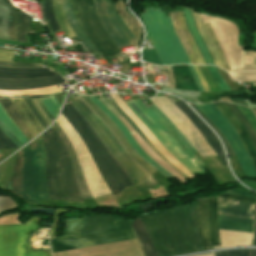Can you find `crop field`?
I'll use <instances>...</instances> for the list:
<instances>
[{
  "instance_id": "1",
  "label": "crop field",
  "mask_w": 256,
  "mask_h": 256,
  "mask_svg": "<svg viewBox=\"0 0 256 256\" xmlns=\"http://www.w3.org/2000/svg\"><path fill=\"white\" fill-rule=\"evenodd\" d=\"M158 256L205 250L197 230L196 203L140 216Z\"/></svg>"
},
{
  "instance_id": "2",
  "label": "crop field",
  "mask_w": 256,
  "mask_h": 256,
  "mask_svg": "<svg viewBox=\"0 0 256 256\" xmlns=\"http://www.w3.org/2000/svg\"><path fill=\"white\" fill-rule=\"evenodd\" d=\"M127 220L108 215L66 220L64 236L50 239L53 252L134 239Z\"/></svg>"
},
{
  "instance_id": "3",
  "label": "crop field",
  "mask_w": 256,
  "mask_h": 256,
  "mask_svg": "<svg viewBox=\"0 0 256 256\" xmlns=\"http://www.w3.org/2000/svg\"><path fill=\"white\" fill-rule=\"evenodd\" d=\"M61 113L82 138L112 194L119 193V191L127 186L135 185L128 173L116 161L95 131L70 103L64 106Z\"/></svg>"
},
{
  "instance_id": "4",
  "label": "crop field",
  "mask_w": 256,
  "mask_h": 256,
  "mask_svg": "<svg viewBox=\"0 0 256 256\" xmlns=\"http://www.w3.org/2000/svg\"><path fill=\"white\" fill-rule=\"evenodd\" d=\"M42 136L47 159L46 183L49 198L82 200L70 156L60 135L52 126Z\"/></svg>"
},
{
  "instance_id": "5",
  "label": "crop field",
  "mask_w": 256,
  "mask_h": 256,
  "mask_svg": "<svg viewBox=\"0 0 256 256\" xmlns=\"http://www.w3.org/2000/svg\"><path fill=\"white\" fill-rule=\"evenodd\" d=\"M140 16L147 28L148 39L163 65L191 64L169 17H165L163 12L147 9Z\"/></svg>"
},
{
  "instance_id": "6",
  "label": "crop field",
  "mask_w": 256,
  "mask_h": 256,
  "mask_svg": "<svg viewBox=\"0 0 256 256\" xmlns=\"http://www.w3.org/2000/svg\"><path fill=\"white\" fill-rule=\"evenodd\" d=\"M126 104L137 115V117L146 125V127L153 133V135L159 140L160 143L163 141H166V139L168 140L166 142H163V144L168 148V150L172 154L181 152V149H182L183 152L174 154V155H172L167 149L166 150L175 159L181 162L190 172L199 173V174H204L206 172L201 167H199L191 157V156H194L193 152L186 146V144L174 132V130L170 127V125L156 111L152 109V107H149V108L145 107L139 99L126 102ZM159 119L173 132V134L176 136V138L180 141V143L183 145V147L187 150V152L190 155L183 150V148L180 146V144L177 142V140L174 138L171 132ZM158 130L170 133L181 149L175 143V141L170 136V134L161 132L166 138L165 139Z\"/></svg>"
},
{
  "instance_id": "7",
  "label": "crop field",
  "mask_w": 256,
  "mask_h": 256,
  "mask_svg": "<svg viewBox=\"0 0 256 256\" xmlns=\"http://www.w3.org/2000/svg\"><path fill=\"white\" fill-rule=\"evenodd\" d=\"M39 148L32 151L29 145L23 148L24 172L22 190L24 191V201L38 205V200H47L44 183L45 157L42 147V138L35 139ZM38 154L41 158L38 159Z\"/></svg>"
},
{
  "instance_id": "8",
  "label": "crop field",
  "mask_w": 256,
  "mask_h": 256,
  "mask_svg": "<svg viewBox=\"0 0 256 256\" xmlns=\"http://www.w3.org/2000/svg\"><path fill=\"white\" fill-rule=\"evenodd\" d=\"M196 106L215 125V127L228 141L232 150L236 154L245 175L249 177H256V169L253 161L231 123L213 104Z\"/></svg>"
},
{
  "instance_id": "9",
  "label": "crop field",
  "mask_w": 256,
  "mask_h": 256,
  "mask_svg": "<svg viewBox=\"0 0 256 256\" xmlns=\"http://www.w3.org/2000/svg\"><path fill=\"white\" fill-rule=\"evenodd\" d=\"M39 217H32L25 226H0V256H26L24 235L26 237L27 256H51L49 251H30L28 235L37 229Z\"/></svg>"
},
{
  "instance_id": "10",
  "label": "crop field",
  "mask_w": 256,
  "mask_h": 256,
  "mask_svg": "<svg viewBox=\"0 0 256 256\" xmlns=\"http://www.w3.org/2000/svg\"><path fill=\"white\" fill-rule=\"evenodd\" d=\"M74 14L81 27L100 53L111 51L120 54L112 40L101 27L91 0H72Z\"/></svg>"
},
{
  "instance_id": "11",
  "label": "crop field",
  "mask_w": 256,
  "mask_h": 256,
  "mask_svg": "<svg viewBox=\"0 0 256 256\" xmlns=\"http://www.w3.org/2000/svg\"><path fill=\"white\" fill-rule=\"evenodd\" d=\"M94 7L103 28L118 48L138 45L119 19L111 0H94Z\"/></svg>"
},
{
  "instance_id": "12",
  "label": "crop field",
  "mask_w": 256,
  "mask_h": 256,
  "mask_svg": "<svg viewBox=\"0 0 256 256\" xmlns=\"http://www.w3.org/2000/svg\"><path fill=\"white\" fill-rule=\"evenodd\" d=\"M67 98L72 103V105L77 109V111L87 120V122L93 127L111 153L115 156V158L120 162V164L126 169V171L130 174L132 179L135 181L139 189H146L141 175L133 169L123 158V156L119 153V151L114 147V145L110 142V140L106 137V135L101 131V129L97 126V124L86 114V112L77 104V102L72 98L70 94H68Z\"/></svg>"
},
{
  "instance_id": "13",
  "label": "crop field",
  "mask_w": 256,
  "mask_h": 256,
  "mask_svg": "<svg viewBox=\"0 0 256 256\" xmlns=\"http://www.w3.org/2000/svg\"><path fill=\"white\" fill-rule=\"evenodd\" d=\"M80 106L87 112V114L98 124V126L102 129V131L107 135V137L111 140V142L115 145V147L120 151V153L124 156V158L128 161V163L134 167L143 177L145 180L146 185L148 188H152L157 183L142 167H140L123 149L115 135L111 132V130L104 124V122L90 109L88 108L82 99L78 96L75 99Z\"/></svg>"
},
{
  "instance_id": "14",
  "label": "crop field",
  "mask_w": 256,
  "mask_h": 256,
  "mask_svg": "<svg viewBox=\"0 0 256 256\" xmlns=\"http://www.w3.org/2000/svg\"><path fill=\"white\" fill-rule=\"evenodd\" d=\"M191 12L193 14L197 29L214 63L226 70H230L224 58V55L217 43V39L212 31L211 25L203 24L200 15L194 13L192 10Z\"/></svg>"
},
{
  "instance_id": "15",
  "label": "crop field",
  "mask_w": 256,
  "mask_h": 256,
  "mask_svg": "<svg viewBox=\"0 0 256 256\" xmlns=\"http://www.w3.org/2000/svg\"><path fill=\"white\" fill-rule=\"evenodd\" d=\"M170 17L175 28L176 34L180 41L182 42L191 63L205 64L199 50L197 49L195 43L193 42L187 30L183 12L170 13Z\"/></svg>"
},
{
  "instance_id": "16",
  "label": "crop field",
  "mask_w": 256,
  "mask_h": 256,
  "mask_svg": "<svg viewBox=\"0 0 256 256\" xmlns=\"http://www.w3.org/2000/svg\"><path fill=\"white\" fill-rule=\"evenodd\" d=\"M176 106H178L184 114L189 118V120L194 124V126L198 129L200 134L203 136V138L206 140V142L210 145V147L215 151V153L220 157L223 165H227L221 145L219 141L215 138V136L212 134V132L204 125V123L181 101L175 103Z\"/></svg>"
},
{
  "instance_id": "17",
  "label": "crop field",
  "mask_w": 256,
  "mask_h": 256,
  "mask_svg": "<svg viewBox=\"0 0 256 256\" xmlns=\"http://www.w3.org/2000/svg\"><path fill=\"white\" fill-rule=\"evenodd\" d=\"M64 79L60 76H53L43 79H32V80H14V79H0L1 90H21L45 87L55 84L64 83Z\"/></svg>"
},
{
  "instance_id": "18",
  "label": "crop field",
  "mask_w": 256,
  "mask_h": 256,
  "mask_svg": "<svg viewBox=\"0 0 256 256\" xmlns=\"http://www.w3.org/2000/svg\"><path fill=\"white\" fill-rule=\"evenodd\" d=\"M113 122L114 124L121 130V132L124 134V136L127 138L133 149L136 151V153L142 157L148 164L156 168L160 171L161 174H163L167 179L173 178L172 175H170L165 169H163L160 165H158L156 162H154L145 152H143L140 147L137 145V143L134 141V139L131 137V135L128 133L126 128L123 126V124L113 115L111 114L101 103L100 101L95 97L91 96L89 97ZM158 171V172H159Z\"/></svg>"
},
{
  "instance_id": "19",
  "label": "crop field",
  "mask_w": 256,
  "mask_h": 256,
  "mask_svg": "<svg viewBox=\"0 0 256 256\" xmlns=\"http://www.w3.org/2000/svg\"><path fill=\"white\" fill-rule=\"evenodd\" d=\"M218 215L254 219L255 205L217 198Z\"/></svg>"
},
{
  "instance_id": "20",
  "label": "crop field",
  "mask_w": 256,
  "mask_h": 256,
  "mask_svg": "<svg viewBox=\"0 0 256 256\" xmlns=\"http://www.w3.org/2000/svg\"><path fill=\"white\" fill-rule=\"evenodd\" d=\"M93 110L94 112L111 128V130L115 133L117 138L120 140L124 148L127 152L145 169L147 170L152 176L156 172L151 166H149L144 160H142L132 149L129 145L127 140L124 136L120 133L118 128L113 124V122L88 98V97H81Z\"/></svg>"
},
{
  "instance_id": "21",
  "label": "crop field",
  "mask_w": 256,
  "mask_h": 256,
  "mask_svg": "<svg viewBox=\"0 0 256 256\" xmlns=\"http://www.w3.org/2000/svg\"><path fill=\"white\" fill-rule=\"evenodd\" d=\"M16 12L6 0H0V39L16 41L15 17Z\"/></svg>"
},
{
  "instance_id": "22",
  "label": "crop field",
  "mask_w": 256,
  "mask_h": 256,
  "mask_svg": "<svg viewBox=\"0 0 256 256\" xmlns=\"http://www.w3.org/2000/svg\"><path fill=\"white\" fill-rule=\"evenodd\" d=\"M55 71L50 68L46 69H18L0 67V78H14V79H31L43 78L57 75Z\"/></svg>"
},
{
  "instance_id": "23",
  "label": "crop field",
  "mask_w": 256,
  "mask_h": 256,
  "mask_svg": "<svg viewBox=\"0 0 256 256\" xmlns=\"http://www.w3.org/2000/svg\"><path fill=\"white\" fill-rule=\"evenodd\" d=\"M55 129L58 131V133L61 135L66 147H67V150L71 156V160H72V164H73V168H74V172L76 174V177H77V181H78V184H79V188H80V191H81V194H82V197L83 199H90L92 198L91 197V194H90V191H89V188L83 178V175H82V172H81V169H80V166H79V163H78V160L75 156V153H74V150H73V147L69 141V139L66 137V135L63 133V131L60 129V127L57 125V123L55 122L54 125Z\"/></svg>"
},
{
  "instance_id": "24",
  "label": "crop field",
  "mask_w": 256,
  "mask_h": 256,
  "mask_svg": "<svg viewBox=\"0 0 256 256\" xmlns=\"http://www.w3.org/2000/svg\"><path fill=\"white\" fill-rule=\"evenodd\" d=\"M11 101L33 137L40 133L43 129L31 113L24 100L22 98H16L11 99Z\"/></svg>"
},
{
  "instance_id": "25",
  "label": "crop field",
  "mask_w": 256,
  "mask_h": 256,
  "mask_svg": "<svg viewBox=\"0 0 256 256\" xmlns=\"http://www.w3.org/2000/svg\"><path fill=\"white\" fill-rule=\"evenodd\" d=\"M62 10L67 19L69 26L76 34L78 40L83 44L84 48L98 52L96 48L93 46V44L90 42V40L87 38V36L84 34V32L81 30V28L79 27L74 17L73 11L71 9L70 0H62Z\"/></svg>"
},
{
  "instance_id": "26",
  "label": "crop field",
  "mask_w": 256,
  "mask_h": 256,
  "mask_svg": "<svg viewBox=\"0 0 256 256\" xmlns=\"http://www.w3.org/2000/svg\"><path fill=\"white\" fill-rule=\"evenodd\" d=\"M171 68L177 89L199 91L188 66H171Z\"/></svg>"
},
{
  "instance_id": "27",
  "label": "crop field",
  "mask_w": 256,
  "mask_h": 256,
  "mask_svg": "<svg viewBox=\"0 0 256 256\" xmlns=\"http://www.w3.org/2000/svg\"><path fill=\"white\" fill-rule=\"evenodd\" d=\"M214 105L224 113V115L230 120L235 129L238 131L256 165V153L246 131L243 129L231 111L222 102L215 103Z\"/></svg>"
},
{
  "instance_id": "28",
  "label": "crop field",
  "mask_w": 256,
  "mask_h": 256,
  "mask_svg": "<svg viewBox=\"0 0 256 256\" xmlns=\"http://www.w3.org/2000/svg\"><path fill=\"white\" fill-rule=\"evenodd\" d=\"M198 201V228L206 249L210 247L208 232V210L207 199H197Z\"/></svg>"
},
{
  "instance_id": "29",
  "label": "crop field",
  "mask_w": 256,
  "mask_h": 256,
  "mask_svg": "<svg viewBox=\"0 0 256 256\" xmlns=\"http://www.w3.org/2000/svg\"><path fill=\"white\" fill-rule=\"evenodd\" d=\"M254 220L218 216L219 229L252 232Z\"/></svg>"
},
{
  "instance_id": "30",
  "label": "crop field",
  "mask_w": 256,
  "mask_h": 256,
  "mask_svg": "<svg viewBox=\"0 0 256 256\" xmlns=\"http://www.w3.org/2000/svg\"><path fill=\"white\" fill-rule=\"evenodd\" d=\"M22 168H23V155L22 151L16 153V164L13 171L12 178L7 187V191L23 198L21 192V181H22Z\"/></svg>"
},
{
  "instance_id": "31",
  "label": "crop field",
  "mask_w": 256,
  "mask_h": 256,
  "mask_svg": "<svg viewBox=\"0 0 256 256\" xmlns=\"http://www.w3.org/2000/svg\"><path fill=\"white\" fill-rule=\"evenodd\" d=\"M183 8H184V14H185L188 29H189L197 47H198V49L200 50V52L202 54V56L205 60V63L214 65L213 61L211 60L203 42H202V39H201V37H200L196 27H195L193 17H192V14H191L190 10L188 8L184 7V6H183Z\"/></svg>"
},
{
  "instance_id": "32",
  "label": "crop field",
  "mask_w": 256,
  "mask_h": 256,
  "mask_svg": "<svg viewBox=\"0 0 256 256\" xmlns=\"http://www.w3.org/2000/svg\"><path fill=\"white\" fill-rule=\"evenodd\" d=\"M208 210H209V227H210V238L211 245L217 246L220 245L219 241V232L217 225V209H216V199H208Z\"/></svg>"
},
{
  "instance_id": "33",
  "label": "crop field",
  "mask_w": 256,
  "mask_h": 256,
  "mask_svg": "<svg viewBox=\"0 0 256 256\" xmlns=\"http://www.w3.org/2000/svg\"><path fill=\"white\" fill-rule=\"evenodd\" d=\"M133 228L135 230V233L138 237V240L140 242V245L145 256H157L139 218L135 219V221L133 222Z\"/></svg>"
},
{
  "instance_id": "34",
  "label": "crop field",
  "mask_w": 256,
  "mask_h": 256,
  "mask_svg": "<svg viewBox=\"0 0 256 256\" xmlns=\"http://www.w3.org/2000/svg\"><path fill=\"white\" fill-rule=\"evenodd\" d=\"M115 6L120 18L125 22V24L128 26V28L133 33L135 38L139 41L140 31L135 22L136 19L126 10V8L124 7L125 3L121 0L118 3H116Z\"/></svg>"
},
{
  "instance_id": "35",
  "label": "crop field",
  "mask_w": 256,
  "mask_h": 256,
  "mask_svg": "<svg viewBox=\"0 0 256 256\" xmlns=\"http://www.w3.org/2000/svg\"><path fill=\"white\" fill-rule=\"evenodd\" d=\"M34 33L29 16L18 11L16 18V37L17 41L25 42L24 34Z\"/></svg>"
},
{
  "instance_id": "36",
  "label": "crop field",
  "mask_w": 256,
  "mask_h": 256,
  "mask_svg": "<svg viewBox=\"0 0 256 256\" xmlns=\"http://www.w3.org/2000/svg\"><path fill=\"white\" fill-rule=\"evenodd\" d=\"M0 104L8 113V115L12 118V120L17 124V126L21 129L24 133L27 140L33 138L31 134L26 129L25 125L23 124L22 120L20 119L18 113L16 112L15 108L13 107L11 101L9 99H0Z\"/></svg>"
},
{
  "instance_id": "37",
  "label": "crop field",
  "mask_w": 256,
  "mask_h": 256,
  "mask_svg": "<svg viewBox=\"0 0 256 256\" xmlns=\"http://www.w3.org/2000/svg\"><path fill=\"white\" fill-rule=\"evenodd\" d=\"M53 13L55 15V18L63 30V33L66 35L67 38L74 37L73 32L69 28L63 14L61 11V0H53Z\"/></svg>"
},
{
  "instance_id": "38",
  "label": "crop field",
  "mask_w": 256,
  "mask_h": 256,
  "mask_svg": "<svg viewBox=\"0 0 256 256\" xmlns=\"http://www.w3.org/2000/svg\"><path fill=\"white\" fill-rule=\"evenodd\" d=\"M0 120L4 123V125L13 133V135L22 143H26V139L20 129L16 126V124L11 120V118L7 115V113L0 106Z\"/></svg>"
},
{
  "instance_id": "39",
  "label": "crop field",
  "mask_w": 256,
  "mask_h": 256,
  "mask_svg": "<svg viewBox=\"0 0 256 256\" xmlns=\"http://www.w3.org/2000/svg\"><path fill=\"white\" fill-rule=\"evenodd\" d=\"M232 112L233 114L237 117V119L239 120V122L242 124V126L245 128V130L248 132L250 139L256 149V135L253 131V129L251 128L249 122L246 120V118L240 113V111L236 108L235 105L233 104H228V103H224Z\"/></svg>"
},
{
  "instance_id": "40",
  "label": "crop field",
  "mask_w": 256,
  "mask_h": 256,
  "mask_svg": "<svg viewBox=\"0 0 256 256\" xmlns=\"http://www.w3.org/2000/svg\"><path fill=\"white\" fill-rule=\"evenodd\" d=\"M43 19L48 20L54 33L61 31L52 13V0H44Z\"/></svg>"
},
{
  "instance_id": "41",
  "label": "crop field",
  "mask_w": 256,
  "mask_h": 256,
  "mask_svg": "<svg viewBox=\"0 0 256 256\" xmlns=\"http://www.w3.org/2000/svg\"><path fill=\"white\" fill-rule=\"evenodd\" d=\"M117 110L127 119V121L137 130V132L140 134V136L144 139V141L147 143V145L159 156L161 157L168 165H170L172 168H174L177 172H179L185 179H188L185 177L180 171H178L170 162H168L148 141L147 139L142 135V133L138 130V128L135 126V124L122 112V110L118 107V105L114 102V100L110 101ZM135 130V131H136Z\"/></svg>"
},
{
  "instance_id": "42",
  "label": "crop field",
  "mask_w": 256,
  "mask_h": 256,
  "mask_svg": "<svg viewBox=\"0 0 256 256\" xmlns=\"http://www.w3.org/2000/svg\"><path fill=\"white\" fill-rule=\"evenodd\" d=\"M203 77L205 78L208 86H209V90L210 92L212 91H220L219 88H218V85L214 82V80L211 78L209 72H208V69L206 66H198Z\"/></svg>"
},
{
  "instance_id": "43",
  "label": "crop field",
  "mask_w": 256,
  "mask_h": 256,
  "mask_svg": "<svg viewBox=\"0 0 256 256\" xmlns=\"http://www.w3.org/2000/svg\"><path fill=\"white\" fill-rule=\"evenodd\" d=\"M212 78L219 85L222 91L230 90L227 84L224 82L218 71L213 66H207Z\"/></svg>"
},
{
  "instance_id": "44",
  "label": "crop field",
  "mask_w": 256,
  "mask_h": 256,
  "mask_svg": "<svg viewBox=\"0 0 256 256\" xmlns=\"http://www.w3.org/2000/svg\"><path fill=\"white\" fill-rule=\"evenodd\" d=\"M236 106L242 112V114L249 120L251 126L253 127V129H254V131L256 133V117L252 113L251 109L246 108L244 106H240V105H236Z\"/></svg>"
},
{
  "instance_id": "45",
  "label": "crop field",
  "mask_w": 256,
  "mask_h": 256,
  "mask_svg": "<svg viewBox=\"0 0 256 256\" xmlns=\"http://www.w3.org/2000/svg\"><path fill=\"white\" fill-rule=\"evenodd\" d=\"M145 50H143V59L145 61L157 64V65H162L156 52L154 51V49L147 51L146 48H144Z\"/></svg>"
},
{
  "instance_id": "46",
  "label": "crop field",
  "mask_w": 256,
  "mask_h": 256,
  "mask_svg": "<svg viewBox=\"0 0 256 256\" xmlns=\"http://www.w3.org/2000/svg\"><path fill=\"white\" fill-rule=\"evenodd\" d=\"M0 148L15 149L17 146L0 130Z\"/></svg>"
},
{
  "instance_id": "47",
  "label": "crop field",
  "mask_w": 256,
  "mask_h": 256,
  "mask_svg": "<svg viewBox=\"0 0 256 256\" xmlns=\"http://www.w3.org/2000/svg\"><path fill=\"white\" fill-rule=\"evenodd\" d=\"M16 203L13 202L10 197H0V213L4 210L15 208Z\"/></svg>"
},
{
  "instance_id": "48",
  "label": "crop field",
  "mask_w": 256,
  "mask_h": 256,
  "mask_svg": "<svg viewBox=\"0 0 256 256\" xmlns=\"http://www.w3.org/2000/svg\"><path fill=\"white\" fill-rule=\"evenodd\" d=\"M191 105H192V106L195 108V110L207 121V123L215 130V132L222 138V140H223V142H224V144H225V146H226V148H227L228 155H229V156L234 155V153H233V151L231 150L229 144H228L227 141L222 137L221 133L213 126V124H212L201 112H199V111L196 109V107L194 106V104H191Z\"/></svg>"
},
{
  "instance_id": "49",
  "label": "crop field",
  "mask_w": 256,
  "mask_h": 256,
  "mask_svg": "<svg viewBox=\"0 0 256 256\" xmlns=\"http://www.w3.org/2000/svg\"><path fill=\"white\" fill-rule=\"evenodd\" d=\"M40 99L44 103V105L47 107V109L49 110L51 115L55 118L59 110L54 105V103L51 101V99L49 97H47V98H40Z\"/></svg>"
},
{
  "instance_id": "50",
  "label": "crop field",
  "mask_w": 256,
  "mask_h": 256,
  "mask_svg": "<svg viewBox=\"0 0 256 256\" xmlns=\"http://www.w3.org/2000/svg\"><path fill=\"white\" fill-rule=\"evenodd\" d=\"M218 197L255 204V199L248 198V197H243V196H237V195H231V194H223V195L218 196Z\"/></svg>"
},
{
  "instance_id": "51",
  "label": "crop field",
  "mask_w": 256,
  "mask_h": 256,
  "mask_svg": "<svg viewBox=\"0 0 256 256\" xmlns=\"http://www.w3.org/2000/svg\"><path fill=\"white\" fill-rule=\"evenodd\" d=\"M249 250H235L228 252L215 253L216 256H249Z\"/></svg>"
},
{
  "instance_id": "52",
  "label": "crop field",
  "mask_w": 256,
  "mask_h": 256,
  "mask_svg": "<svg viewBox=\"0 0 256 256\" xmlns=\"http://www.w3.org/2000/svg\"><path fill=\"white\" fill-rule=\"evenodd\" d=\"M0 66L40 68V67H41V64H32V63H10V62H2V61H0Z\"/></svg>"
},
{
  "instance_id": "53",
  "label": "crop field",
  "mask_w": 256,
  "mask_h": 256,
  "mask_svg": "<svg viewBox=\"0 0 256 256\" xmlns=\"http://www.w3.org/2000/svg\"><path fill=\"white\" fill-rule=\"evenodd\" d=\"M161 116H163L166 121L171 125V127L181 136V138L185 141V143L188 145V147L195 153L197 152L193 146L184 138V136L179 132V130L174 126V124L167 118L165 117L159 110L158 108L154 105L152 106Z\"/></svg>"
},
{
  "instance_id": "54",
  "label": "crop field",
  "mask_w": 256,
  "mask_h": 256,
  "mask_svg": "<svg viewBox=\"0 0 256 256\" xmlns=\"http://www.w3.org/2000/svg\"><path fill=\"white\" fill-rule=\"evenodd\" d=\"M0 128L3 130V132L20 148L22 145L20 142L12 135V133L3 125V123L0 121Z\"/></svg>"
},
{
  "instance_id": "55",
  "label": "crop field",
  "mask_w": 256,
  "mask_h": 256,
  "mask_svg": "<svg viewBox=\"0 0 256 256\" xmlns=\"http://www.w3.org/2000/svg\"><path fill=\"white\" fill-rule=\"evenodd\" d=\"M27 105L29 106V108L31 109V111L33 112L34 116L36 117V119L39 121V123L43 126V128L45 129L47 126L46 124L43 122V120L41 119V117L39 116V114L36 112V110L34 109L33 105L31 104V102L29 101V99H25Z\"/></svg>"
},
{
  "instance_id": "56",
  "label": "crop field",
  "mask_w": 256,
  "mask_h": 256,
  "mask_svg": "<svg viewBox=\"0 0 256 256\" xmlns=\"http://www.w3.org/2000/svg\"><path fill=\"white\" fill-rule=\"evenodd\" d=\"M13 51L0 49V60L2 61H11Z\"/></svg>"
},
{
  "instance_id": "57",
  "label": "crop field",
  "mask_w": 256,
  "mask_h": 256,
  "mask_svg": "<svg viewBox=\"0 0 256 256\" xmlns=\"http://www.w3.org/2000/svg\"><path fill=\"white\" fill-rule=\"evenodd\" d=\"M31 102L33 103V105L36 107V109L38 110V112L40 113V115L42 116L43 120L45 121V123L47 124V126L51 123L50 120L47 118V116L45 115V113L42 111V109L39 107V105L37 104V102L34 100V98H30Z\"/></svg>"
},
{
  "instance_id": "58",
  "label": "crop field",
  "mask_w": 256,
  "mask_h": 256,
  "mask_svg": "<svg viewBox=\"0 0 256 256\" xmlns=\"http://www.w3.org/2000/svg\"><path fill=\"white\" fill-rule=\"evenodd\" d=\"M193 67H194V69H195V71H196V73H197V75H198V77H199V80H200V82H201V84H202L204 90L207 91V92H209L208 89H207V84H206L204 78L202 77V75H201V73H200L198 67H197V66H193Z\"/></svg>"
},
{
  "instance_id": "59",
  "label": "crop field",
  "mask_w": 256,
  "mask_h": 256,
  "mask_svg": "<svg viewBox=\"0 0 256 256\" xmlns=\"http://www.w3.org/2000/svg\"><path fill=\"white\" fill-rule=\"evenodd\" d=\"M227 192L228 193H234V194H237V195H243V196H248V197L256 198V196L254 194H250V193H247V192L236 191V190H229Z\"/></svg>"
},
{
  "instance_id": "60",
  "label": "crop field",
  "mask_w": 256,
  "mask_h": 256,
  "mask_svg": "<svg viewBox=\"0 0 256 256\" xmlns=\"http://www.w3.org/2000/svg\"><path fill=\"white\" fill-rule=\"evenodd\" d=\"M35 100L38 102V104L40 105V107L43 109V111L46 113V115L48 116V118L51 120V122L54 120L51 115L48 113V111L46 110L45 106L42 104V102L39 100V98H35Z\"/></svg>"
},
{
  "instance_id": "61",
  "label": "crop field",
  "mask_w": 256,
  "mask_h": 256,
  "mask_svg": "<svg viewBox=\"0 0 256 256\" xmlns=\"http://www.w3.org/2000/svg\"><path fill=\"white\" fill-rule=\"evenodd\" d=\"M190 68H191V70H192V72H193V75H194V77H195V79H196V82H197V84H198V86H199L200 91H203V89H202V87H201V84H200V82H199V80H198V77H197V75H196L194 69L192 68V66H190Z\"/></svg>"
},
{
  "instance_id": "62",
  "label": "crop field",
  "mask_w": 256,
  "mask_h": 256,
  "mask_svg": "<svg viewBox=\"0 0 256 256\" xmlns=\"http://www.w3.org/2000/svg\"><path fill=\"white\" fill-rule=\"evenodd\" d=\"M29 145L31 147V150H34V149L38 148L35 141H32L31 143H29Z\"/></svg>"
},
{
  "instance_id": "63",
  "label": "crop field",
  "mask_w": 256,
  "mask_h": 256,
  "mask_svg": "<svg viewBox=\"0 0 256 256\" xmlns=\"http://www.w3.org/2000/svg\"><path fill=\"white\" fill-rule=\"evenodd\" d=\"M231 101H232V102H237V103H241V104L246 105L245 102H244V100H233V99H231Z\"/></svg>"
},
{
  "instance_id": "64",
  "label": "crop field",
  "mask_w": 256,
  "mask_h": 256,
  "mask_svg": "<svg viewBox=\"0 0 256 256\" xmlns=\"http://www.w3.org/2000/svg\"><path fill=\"white\" fill-rule=\"evenodd\" d=\"M51 99H52L53 102L56 104V106L59 108L60 105H59V103L57 102V100L54 98V96H51Z\"/></svg>"
},
{
  "instance_id": "65",
  "label": "crop field",
  "mask_w": 256,
  "mask_h": 256,
  "mask_svg": "<svg viewBox=\"0 0 256 256\" xmlns=\"http://www.w3.org/2000/svg\"><path fill=\"white\" fill-rule=\"evenodd\" d=\"M250 256H256V249H251Z\"/></svg>"
},
{
  "instance_id": "66",
  "label": "crop field",
  "mask_w": 256,
  "mask_h": 256,
  "mask_svg": "<svg viewBox=\"0 0 256 256\" xmlns=\"http://www.w3.org/2000/svg\"><path fill=\"white\" fill-rule=\"evenodd\" d=\"M253 246H256V225H255V235H254V244Z\"/></svg>"
},
{
  "instance_id": "67",
  "label": "crop field",
  "mask_w": 256,
  "mask_h": 256,
  "mask_svg": "<svg viewBox=\"0 0 256 256\" xmlns=\"http://www.w3.org/2000/svg\"><path fill=\"white\" fill-rule=\"evenodd\" d=\"M0 46H4V44H1V43H0Z\"/></svg>"
},
{
  "instance_id": "68",
  "label": "crop field",
  "mask_w": 256,
  "mask_h": 256,
  "mask_svg": "<svg viewBox=\"0 0 256 256\" xmlns=\"http://www.w3.org/2000/svg\"><path fill=\"white\" fill-rule=\"evenodd\" d=\"M254 111H255V113H256V109H253Z\"/></svg>"
},
{
  "instance_id": "69",
  "label": "crop field",
  "mask_w": 256,
  "mask_h": 256,
  "mask_svg": "<svg viewBox=\"0 0 256 256\" xmlns=\"http://www.w3.org/2000/svg\"><path fill=\"white\" fill-rule=\"evenodd\" d=\"M0 161H1V158H0Z\"/></svg>"
},
{
  "instance_id": "70",
  "label": "crop field",
  "mask_w": 256,
  "mask_h": 256,
  "mask_svg": "<svg viewBox=\"0 0 256 256\" xmlns=\"http://www.w3.org/2000/svg\"><path fill=\"white\" fill-rule=\"evenodd\" d=\"M0 153H1V151H0Z\"/></svg>"
},
{
  "instance_id": "71",
  "label": "crop field",
  "mask_w": 256,
  "mask_h": 256,
  "mask_svg": "<svg viewBox=\"0 0 256 256\" xmlns=\"http://www.w3.org/2000/svg\"><path fill=\"white\" fill-rule=\"evenodd\" d=\"M1 166V165H0Z\"/></svg>"
}]
</instances>
